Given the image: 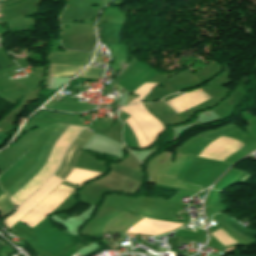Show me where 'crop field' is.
Segmentation results:
<instances>
[{"instance_id": "obj_2", "label": "crop field", "mask_w": 256, "mask_h": 256, "mask_svg": "<svg viewBox=\"0 0 256 256\" xmlns=\"http://www.w3.org/2000/svg\"><path fill=\"white\" fill-rule=\"evenodd\" d=\"M244 174V173H243ZM243 174L241 175V177L243 176ZM241 177H240V179H241Z\"/></svg>"}, {"instance_id": "obj_1", "label": "crop field", "mask_w": 256, "mask_h": 256, "mask_svg": "<svg viewBox=\"0 0 256 256\" xmlns=\"http://www.w3.org/2000/svg\"><path fill=\"white\" fill-rule=\"evenodd\" d=\"M180 225H182V223L164 222L144 218L135 226L131 227L126 233L156 235L169 232Z\"/></svg>"}]
</instances>
